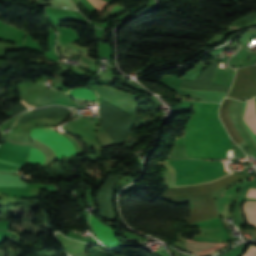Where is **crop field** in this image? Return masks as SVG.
<instances>
[{
	"instance_id": "obj_9",
	"label": "crop field",
	"mask_w": 256,
	"mask_h": 256,
	"mask_svg": "<svg viewBox=\"0 0 256 256\" xmlns=\"http://www.w3.org/2000/svg\"><path fill=\"white\" fill-rule=\"evenodd\" d=\"M190 252L196 253L198 256H210L221 250L214 251L219 249L227 244H211V243H203V242H193L188 240L184 244Z\"/></svg>"
},
{
	"instance_id": "obj_8",
	"label": "crop field",
	"mask_w": 256,
	"mask_h": 256,
	"mask_svg": "<svg viewBox=\"0 0 256 256\" xmlns=\"http://www.w3.org/2000/svg\"><path fill=\"white\" fill-rule=\"evenodd\" d=\"M90 224L95 230L99 239L106 245L110 247H118L122 246V244L118 241L115 236V231L111 228L107 227L103 223H101L97 218L93 215L90 217Z\"/></svg>"
},
{
	"instance_id": "obj_10",
	"label": "crop field",
	"mask_w": 256,
	"mask_h": 256,
	"mask_svg": "<svg viewBox=\"0 0 256 256\" xmlns=\"http://www.w3.org/2000/svg\"><path fill=\"white\" fill-rule=\"evenodd\" d=\"M245 121L256 134V107L254 99L248 101L247 109L245 112Z\"/></svg>"
},
{
	"instance_id": "obj_6",
	"label": "crop field",
	"mask_w": 256,
	"mask_h": 256,
	"mask_svg": "<svg viewBox=\"0 0 256 256\" xmlns=\"http://www.w3.org/2000/svg\"><path fill=\"white\" fill-rule=\"evenodd\" d=\"M219 61L212 60L207 68L195 79V81L183 80L180 87L196 89V90H211L228 92L230 86L212 84V79L215 74L216 67Z\"/></svg>"
},
{
	"instance_id": "obj_3",
	"label": "crop field",
	"mask_w": 256,
	"mask_h": 256,
	"mask_svg": "<svg viewBox=\"0 0 256 256\" xmlns=\"http://www.w3.org/2000/svg\"><path fill=\"white\" fill-rule=\"evenodd\" d=\"M240 103L224 99L220 108V118L224 123L230 137L241 147L252 144L243 128L241 127L238 119V110Z\"/></svg>"
},
{
	"instance_id": "obj_14",
	"label": "crop field",
	"mask_w": 256,
	"mask_h": 256,
	"mask_svg": "<svg viewBox=\"0 0 256 256\" xmlns=\"http://www.w3.org/2000/svg\"><path fill=\"white\" fill-rule=\"evenodd\" d=\"M243 256H256V247L250 245L247 252Z\"/></svg>"
},
{
	"instance_id": "obj_15",
	"label": "crop field",
	"mask_w": 256,
	"mask_h": 256,
	"mask_svg": "<svg viewBox=\"0 0 256 256\" xmlns=\"http://www.w3.org/2000/svg\"><path fill=\"white\" fill-rule=\"evenodd\" d=\"M247 197H255L256 198V189L250 188L247 193Z\"/></svg>"
},
{
	"instance_id": "obj_5",
	"label": "crop field",
	"mask_w": 256,
	"mask_h": 256,
	"mask_svg": "<svg viewBox=\"0 0 256 256\" xmlns=\"http://www.w3.org/2000/svg\"><path fill=\"white\" fill-rule=\"evenodd\" d=\"M31 136L49 145L56 152L58 159L75 154L73 145L51 129H32Z\"/></svg>"
},
{
	"instance_id": "obj_2",
	"label": "crop field",
	"mask_w": 256,
	"mask_h": 256,
	"mask_svg": "<svg viewBox=\"0 0 256 256\" xmlns=\"http://www.w3.org/2000/svg\"><path fill=\"white\" fill-rule=\"evenodd\" d=\"M167 162L171 164L176 171L175 187L209 183L227 176L220 161L212 162L186 159Z\"/></svg>"
},
{
	"instance_id": "obj_12",
	"label": "crop field",
	"mask_w": 256,
	"mask_h": 256,
	"mask_svg": "<svg viewBox=\"0 0 256 256\" xmlns=\"http://www.w3.org/2000/svg\"><path fill=\"white\" fill-rule=\"evenodd\" d=\"M255 202L246 201L244 204V212L249 225L256 227V220L252 212Z\"/></svg>"
},
{
	"instance_id": "obj_13",
	"label": "crop field",
	"mask_w": 256,
	"mask_h": 256,
	"mask_svg": "<svg viewBox=\"0 0 256 256\" xmlns=\"http://www.w3.org/2000/svg\"><path fill=\"white\" fill-rule=\"evenodd\" d=\"M28 161L31 163H36V164H43L44 156L38 150L31 148Z\"/></svg>"
},
{
	"instance_id": "obj_11",
	"label": "crop field",
	"mask_w": 256,
	"mask_h": 256,
	"mask_svg": "<svg viewBox=\"0 0 256 256\" xmlns=\"http://www.w3.org/2000/svg\"><path fill=\"white\" fill-rule=\"evenodd\" d=\"M68 93L74 97H78V98L85 99V100H94L95 101L94 94L91 91H89L88 89L78 88V89L71 90Z\"/></svg>"
},
{
	"instance_id": "obj_4",
	"label": "crop field",
	"mask_w": 256,
	"mask_h": 256,
	"mask_svg": "<svg viewBox=\"0 0 256 256\" xmlns=\"http://www.w3.org/2000/svg\"><path fill=\"white\" fill-rule=\"evenodd\" d=\"M256 96V65L237 69L228 97L235 99Z\"/></svg>"
},
{
	"instance_id": "obj_1",
	"label": "crop field",
	"mask_w": 256,
	"mask_h": 256,
	"mask_svg": "<svg viewBox=\"0 0 256 256\" xmlns=\"http://www.w3.org/2000/svg\"><path fill=\"white\" fill-rule=\"evenodd\" d=\"M242 178H244V176L236 173L210 184L169 189L161 198L174 203L189 202L191 206L190 217L184 218L187 223L217 218L218 216L214 205V199L210 192Z\"/></svg>"
},
{
	"instance_id": "obj_7",
	"label": "crop field",
	"mask_w": 256,
	"mask_h": 256,
	"mask_svg": "<svg viewBox=\"0 0 256 256\" xmlns=\"http://www.w3.org/2000/svg\"><path fill=\"white\" fill-rule=\"evenodd\" d=\"M123 175L110 176L103 184L97 201L100 208V216L105 219H117L115 209L112 203L113 187Z\"/></svg>"
}]
</instances>
